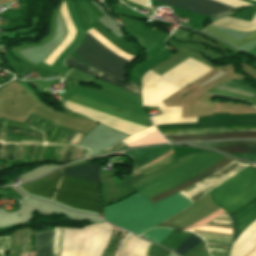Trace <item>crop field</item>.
Segmentation results:
<instances>
[{
  "label": "crop field",
  "mask_w": 256,
  "mask_h": 256,
  "mask_svg": "<svg viewBox=\"0 0 256 256\" xmlns=\"http://www.w3.org/2000/svg\"><path fill=\"white\" fill-rule=\"evenodd\" d=\"M254 173H256V168L248 167L237 176L213 190L210 193L211 200L219 197ZM213 202L230 215L234 224V242L243 230L256 220V174L215 199ZM255 246L256 221L248 226L233 243L230 256H244L254 249Z\"/></svg>",
  "instance_id": "crop-field-1"
},
{
  "label": "crop field",
  "mask_w": 256,
  "mask_h": 256,
  "mask_svg": "<svg viewBox=\"0 0 256 256\" xmlns=\"http://www.w3.org/2000/svg\"><path fill=\"white\" fill-rule=\"evenodd\" d=\"M191 206L177 193L153 205L138 192L104 208V219L139 235L148 228Z\"/></svg>",
  "instance_id": "crop-field-2"
},
{
  "label": "crop field",
  "mask_w": 256,
  "mask_h": 256,
  "mask_svg": "<svg viewBox=\"0 0 256 256\" xmlns=\"http://www.w3.org/2000/svg\"><path fill=\"white\" fill-rule=\"evenodd\" d=\"M70 57L125 81L126 68L131 63L106 49L88 33L85 34L81 45L70 55ZM71 58H68L64 64L96 79L140 95L139 88L132 83L125 82Z\"/></svg>",
  "instance_id": "crop-field-3"
},
{
  "label": "crop field",
  "mask_w": 256,
  "mask_h": 256,
  "mask_svg": "<svg viewBox=\"0 0 256 256\" xmlns=\"http://www.w3.org/2000/svg\"><path fill=\"white\" fill-rule=\"evenodd\" d=\"M179 87L152 71L142 77V106L158 107L162 114L150 117L155 125L168 123H196V118L181 119V107H165L162 100L178 91Z\"/></svg>",
  "instance_id": "crop-field-4"
},
{
  "label": "crop field",
  "mask_w": 256,
  "mask_h": 256,
  "mask_svg": "<svg viewBox=\"0 0 256 256\" xmlns=\"http://www.w3.org/2000/svg\"><path fill=\"white\" fill-rule=\"evenodd\" d=\"M108 224L63 228L61 256H100L111 233Z\"/></svg>",
  "instance_id": "crop-field-5"
},
{
  "label": "crop field",
  "mask_w": 256,
  "mask_h": 256,
  "mask_svg": "<svg viewBox=\"0 0 256 256\" xmlns=\"http://www.w3.org/2000/svg\"><path fill=\"white\" fill-rule=\"evenodd\" d=\"M72 208L100 213L98 184L63 175L53 199Z\"/></svg>",
  "instance_id": "crop-field-6"
},
{
  "label": "crop field",
  "mask_w": 256,
  "mask_h": 256,
  "mask_svg": "<svg viewBox=\"0 0 256 256\" xmlns=\"http://www.w3.org/2000/svg\"><path fill=\"white\" fill-rule=\"evenodd\" d=\"M165 4H169L182 9L190 10L202 15H214L218 12L228 10L234 7L249 5L246 2L240 0H217L226 4L214 1V0H155Z\"/></svg>",
  "instance_id": "crop-field-7"
},
{
  "label": "crop field",
  "mask_w": 256,
  "mask_h": 256,
  "mask_svg": "<svg viewBox=\"0 0 256 256\" xmlns=\"http://www.w3.org/2000/svg\"><path fill=\"white\" fill-rule=\"evenodd\" d=\"M67 101L103 112V113H107L146 127H150L153 124L151 123L150 119L73 94L72 96H70L69 98L66 99Z\"/></svg>",
  "instance_id": "crop-field-8"
},
{
  "label": "crop field",
  "mask_w": 256,
  "mask_h": 256,
  "mask_svg": "<svg viewBox=\"0 0 256 256\" xmlns=\"http://www.w3.org/2000/svg\"><path fill=\"white\" fill-rule=\"evenodd\" d=\"M62 168L35 182L20 185L21 188L35 196L51 199L59 182Z\"/></svg>",
  "instance_id": "crop-field-9"
},
{
  "label": "crop field",
  "mask_w": 256,
  "mask_h": 256,
  "mask_svg": "<svg viewBox=\"0 0 256 256\" xmlns=\"http://www.w3.org/2000/svg\"><path fill=\"white\" fill-rule=\"evenodd\" d=\"M170 150H172L170 145L149 146L145 148L126 151L123 153V155L130 157L133 164L132 169H134Z\"/></svg>",
  "instance_id": "crop-field-10"
},
{
  "label": "crop field",
  "mask_w": 256,
  "mask_h": 256,
  "mask_svg": "<svg viewBox=\"0 0 256 256\" xmlns=\"http://www.w3.org/2000/svg\"><path fill=\"white\" fill-rule=\"evenodd\" d=\"M64 174L99 183L100 166L83 164L76 167L65 168Z\"/></svg>",
  "instance_id": "crop-field-11"
},
{
  "label": "crop field",
  "mask_w": 256,
  "mask_h": 256,
  "mask_svg": "<svg viewBox=\"0 0 256 256\" xmlns=\"http://www.w3.org/2000/svg\"><path fill=\"white\" fill-rule=\"evenodd\" d=\"M149 243L130 234L120 256H145L149 249Z\"/></svg>",
  "instance_id": "crop-field-12"
},
{
  "label": "crop field",
  "mask_w": 256,
  "mask_h": 256,
  "mask_svg": "<svg viewBox=\"0 0 256 256\" xmlns=\"http://www.w3.org/2000/svg\"><path fill=\"white\" fill-rule=\"evenodd\" d=\"M35 256H52V230L49 232L34 233Z\"/></svg>",
  "instance_id": "crop-field-13"
},
{
  "label": "crop field",
  "mask_w": 256,
  "mask_h": 256,
  "mask_svg": "<svg viewBox=\"0 0 256 256\" xmlns=\"http://www.w3.org/2000/svg\"><path fill=\"white\" fill-rule=\"evenodd\" d=\"M212 26H218V27H224V28H230V29H236V30H242V31H254L256 30V24L249 23L233 18H222L217 21H215Z\"/></svg>",
  "instance_id": "crop-field-14"
},
{
  "label": "crop field",
  "mask_w": 256,
  "mask_h": 256,
  "mask_svg": "<svg viewBox=\"0 0 256 256\" xmlns=\"http://www.w3.org/2000/svg\"><path fill=\"white\" fill-rule=\"evenodd\" d=\"M191 235L189 232L185 233H179L176 231H173L169 236H167L164 240H162L159 244L170 248L175 249L177 248L186 238H188ZM172 250V251H173Z\"/></svg>",
  "instance_id": "crop-field-15"
},
{
  "label": "crop field",
  "mask_w": 256,
  "mask_h": 256,
  "mask_svg": "<svg viewBox=\"0 0 256 256\" xmlns=\"http://www.w3.org/2000/svg\"><path fill=\"white\" fill-rule=\"evenodd\" d=\"M172 231H173L172 229H168V228H152L147 233L141 236L158 243L162 239H164L168 234H170Z\"/></svg>",
  "instance_id": "crop-field-16"
},
{
  "label": "crop field",
  "mask_w": 256,
  "mask_h": 256,
  "mask_svg": "<svg viewBox=\"0 0 256 256\" xmlns=\"http://www.w3.org/2000/svg\"><path fill=\"white\" fill-rule=\"evenodd\" d=\"M198 237L195 235H191L187 240H185L176 250H174L179 255L183 256L189 250H191L194 246H196L199 242H201Z\"/></svg>",
  "instance_id": "crop-field-17"
},
{
  "label": "crop field",
  "mask_w": 256,
  "mask_h": 256,
  "mask_svg": "<svg viewBox=\"0 0 256 256\" xmlns=\"http://www.w3.org/2000/svg\"><path fill=\"white\" fill-rule=\"evenodd\" d=\"M206 30H208V31L212 32L213 34H215V35H217V36H219V37H221V38H223V39L233 43L234 45H236L238 47H240L245 42H248V41L256 39V33H254V34H252V35H250V36H248V37H246V38H244V39H242V40L237 42V41L231 39L230 37L224 35L223 33L219 32V31H217V30H215V29H213L211 27H208Z\"/></svg>",
  "instance_id": "crop-field-18"
},
{
  "label": "crop field",
  "mask_w": 256,
  "mask_h": 256,
  "mask_svg": "<svg viewBox=\"0 0 256 256\" xmlns=\"http://www.w3.org/2000/svg\"><path fill=\"white\" fill-rule=\"evenodd\" d=\"M154 131H156V128H155L154 126H152V127L148 128V129H146V130H143V131H141V132H139V133H136V134H134V135H132V136H130V137H128V138L122 140V142H123L125 145H127L128 143H130V142H132V141H135V140H137V139H139V138H141V137H143V136H145V135H148V134H150V133H152V132H154Z\"/></svg>",
  "instance_id": "crop-field-19"
},
{
  "label": "crop field",
  "mask_w": 256,
  "mask_h": 256,
  "mask_svg": "<svg viewBox=\"0 0 256 256\" xmlns=\"http://www.w3.org/2000/svg\"><path fill=\"white\" fill-rule=\"evenodd\" d=\"M256 12V8L232 15L230 17H234V18H239V19H244V20H248L250 21V19L253 17V15Z\"/></svg>",
  "instance_id": "crop-field-20"
},
{
  "label": "crop field",
  "mask_w": 256,
  "mask_h": 256,
  "mask_svg": "<svg viewBox=\"0 0 256 256\" xmlns=\"http://www.w3.org/2000/svg\"><path fill=\"white\" fill-rule=\"evenodd\" d=\"M128 1H131V2L137 3V4H139V5H142V6H145V7L150 8V7L147 5V0H128ZM150 9H151V8H150Z\"/></svg>",
  "instance_id": "crop-field-21"
},
{
  "label": "crop field",
  "mask_w": 256,
  "mask_h": 256,
  "mask_svg": "<svg viewBox=\"0 0 256 256\" xmlns=\"http://www.w3.org/2000/svg\"><path fill=\"white\" fill-rule=\"evenodd\" d=\"M252 22H256V14L254 15V17L251 19Z\"/></svg>",
  "instance_id": "crop-field-22"
},
{
  "label": "crop field",
  "mask_w": 256,
  "mask_h": 256,
  "mask_svg": "<svg viewBox=\"0 0 256 256\" xmlns=\"http://www.w3.org/2000/svg\"><path fill=\"white\" fill-rule=\"evenodd\" d=\"M248 256H256V253L251 252Z\"/></svg>",
  "instance_id": "crop-field-23"
}]
</instances>
